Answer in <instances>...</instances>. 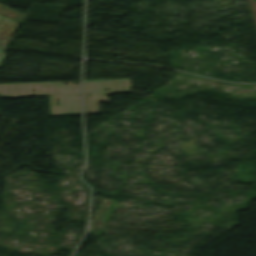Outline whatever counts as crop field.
Masks as SVG:
<instances>
[{
	"mask_svg": "<svg viewBox=\"0 0 256 256\" xmlns=\"http://www.w3.org/2000/svg\"><path fill=\"white\" fill-rule=\"evenodd\" d=\"M49 101L51 116L80 114V94L49 96Z\"/></svg>",
	"mask_w": 256,
	"mask_h": 256,
	"instance_id": "1",
	"label": "crop field"
},
{
	"mask_svg": "<svg viewBox=\"0 0 256 256\" xmlns=\"http://www.w3.org/2000/svg\"><path fill=\"white\" fill-rule=\"evenodd\" d=\"M18 23L12 22L0 16V37L11 39Z\"/></svg>",
	"mask_w": 256,
	"mask_h": 256,
	"instance_id": "2",
	"label": "crop field"
},
{
	"mask_svg": "<svg viewBox=\"0 0 256 256\" xmlns=\"http://www.w3.org/2000/svg\"><path fill=\"white\" fill-rule=\"evenodd\" d=\"M7 42H8L7 39L0 38V66H1L4 56L6 54V52L4 51V48L7 44Z\"/></svg>",
	"mask_w": 256,
	"mask_h": 256,
	"instance_id": "3",
	"label": "crop field"
}]
</instances>
